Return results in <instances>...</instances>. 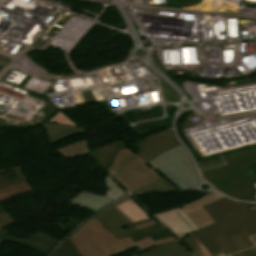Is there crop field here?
Masks as SVG:
<instances>
[{"instance_id": "obj_1", "label": "crop field", "mask_w": 256, "mask_h": 256, "mask_svg": "<svg viewBox=\"0 0 256 256\" xmlns=\"http://www.w3.org/2000/svg\"><path fill=\"white\" fill-rule=\"evenodd\" d=\"M251 205L253 204L234 202L224 197L202 206L216 223L199 229L180 241L196 256H225L237 252L228 237L239 233L253 247L247 237L256 234V209L248 212L244 209Z\"/></svg>"}, {"instance_id": "obj_2", "label": "crop field", "mask_w": 256, "mask_h": 256, "mask_svg": "<svg viewBox=\"0 0 256 256\" xmlns=\"http://www.w3.org/2000/svg\"><path fill=\"white\" fill-rule=\"evenodd\" d=\"M69 238L82 256H113L137 246L141 250L132 255L136 256L153 246L176 239L172 236L153 242L148 237L135 243L129 237L118 240L95 218L81 225Z\"/></svg>"}, {"instance_id": "obj_3", "label": "crop field", "mask_w": 256, "mask_h": 256, "mask_svg": "<svg viewBox=\"0 0 256 256\" xmlns=\"http://www.w3.org/2000/svg\"><path fill=\"white\" fill-rule=\"evenodd\" d=\"M148 164L180 190H189L199 182L195 167L181 145L159 155Z\"/></svg>"}, {"instance_id": "obj_4", "label": "crop field", "mask_w": 256, "mask_h": 256, "mask_svg": "<svg viewBox=\"0 0 256 256\" xmlns=\"http://www.w3.org/2000/svg\"><path fill=\"white\" fill-rule=\"evenodd\" d=\"M113 177L128 191L132 192L162 177V175L140 157L134 155Z\"/></svg>"}, {"instance_id": "obj_5", "label": "crop field", "mask_w": 256, "mask_h": 256, "mask_svg": "<svg viewBox=\"0 0 256 256\" xmlns=\"http://www.w3.org/2000/svg\"><path fill=\"white\" fill-rule=\"evenodd\" d=\"M204 177L218 190L240 200L252 201L249 194L241 183L236 179L226 165L202 171Z\"/></svg>"}, {"instance_id": "obj_6", "label": "crop field", "mask_w": 256, "mask_h": 256, "mask_svg": "<svg viewBox=\"0 0 256 256\" xmlns=\"http://www.w3.org/2000/svg\"><path fill=\"white\" fill-rule=\"evenodd\" d=\"M135 145L139 151L137 155L149 162L162 152L179 145V142L170 130H165L151 135Z\"/></svg>"}, {"instance_id": "obj_7", "label": "crop field", "mask_w": 256, "mask_h": 256, "mask_svg": "<svg viewBox=\"0 0 256 256\" xmlns=\"http://www.w3.org/2000/svg\"><path fill=\"white\" fill-rule=\"evenodd\" d=\"M29 191L20 166L0 170V201Z\"/></svg>"}, {"instance_id": "obj_8", "label": "crop field", "mask_w": 256, "mask_h": 256, "mask_svg": "<svg viewBox=\"0 0 256 256\" xmlns=\"http://www.w3.org/2000/svg\"><path fill=\"white\" fill-rule=\"evenodd\" d=\"M152 216L157 221L165 224L180 239L185 238L188 233L198 229L196 224L181 208H175L152 214Z\"/></svg>"}, {"instance_id": "obj_9", "label": "crop field", "mask_w": 256, "mask_h": 256, "mask_svg": "<svg viewBox=\"0 0 256 256\" xmlns=\"http://www.w3.org/2000/svg\"><path fill=\"white\" fill-rule=\"evenodd\" d=\"M100 221L116 238L130 236L137 231L117 210L112 206L94 216Z\"/></svg>"}, {"instance_id": "obj_10", "label": "crop field", "mask_w": 256, "mask_h": 256, "mask_svg": "<svg viewBox=\"0 0 256 256\" xmlns=\"http://www.w3.org/2000/svg\"><path fill=\"white\" fill-rule=\"evenodd\" d=\"M223 158L226 160L228 168L233 172L248 192L251 193L255 191L256 189L249 182L239 167L256 162V147L223 155Z\"/></svg>"}, {"instance_id": "obj_11", "label": "crop field", "mask_w": 256, "mask_h": 256, "mask_svg": "<svg viewBox=\"0 0 256 256\" xmlns=\"http://www.w3.org/2000/svg\"><path fill=\"white\" fill-rule=\"evenodd\" d=\"M116 208L137 230L157 223L131 197L112 205Z\"/></svg>"}, {"instance_id": "obj_12", "label": "crop field", "mask_w": 256, "mask_h": 256, "mask_svg": "<svg viewBox=\"0 0 256 256\" xmlns=\"http://www.w3.org/2000/svg\"><path fill=\"white\" fill-rule=\"evenodd\" d=\"M219 198H221V196L215 193H210L180 207H182V209L190 216V218L197 224V226L201 228L214 222L201 206Z\"/></svg>"}, {"instance_id": "obj_13", "label": "crop field", "mask_w": 256, "mask_h": 256, "mask_svg": "<svg viewBox=\"0 0 256 256\" xmlns=\"http://www.w3.org/2000/svg\"><path fill=\"white\" fill-rule=\"evenodd\" d=\"M113 201V199L81 191L70 202L95 212Z\"/></svg>"}, {"instance_id": "obj_14", "label": "crop field", "mask_w": 256, "mask_h": 256, "mask_svg": "<svg viewBox=\"0 0 256 256\" xmlns=\"http://www.w3.org/2000/svg\"><path fill=\"white\" fill-rule=\"evenodd\" d=\"M138 256H193L188 249L177 240L154 247Z\"/></svg>"}, {"instance_id": "obj_15", "label": "crop field", "mask_w": 256, "mask_h": 256, "mask_svg": "<svg viewBox=\"0 0 256 256\" xmlns=\"http://www.w3.org/2000/svg\"><path fill=\"white\" fill-rule=\"evenodd\" d=\"M148 236H150L152 240L155 241L168 236H172V234L166 229V227L160 224H155L137 231L132 236H130V238L133 242H135Z\"/></svg>"}, {"instance_id": "obj_16", "label": "crop field", "mask_w": 256, "mask_h": 256, "mask_svg": "<svg viewBox=\"0 0 256 256\" xmlns=\"http://www.w3.org/2000/svg\"><path fill=\"white\" fill-rule=\"evenodd\" d=\"M45 126L49 133L51 144L61 141L73 134L83 133L82 129L72 128V127L63 126V125L48 124Z\"/></svg>"}, {"instance_id": "obj_17", "label": "crop field", "mask_w": 256, "mask_h": 256, "mask_svg": "<svg viewBox=\"0 0 256 256\" xmlns=\"http://www.w3.org/2000/svg\"><path fill=\"white\" fill-rule=\"evenodd\" d=\"M66 159L86 155L88 150V140L82 139L69 145L56 149Z\"/></svg>"}, {"instance_id": "obj_18", "label": "crop field", "mask_w": 256, "mask_h": 256, "mask_svg": "<svg viewBox=\"0 0 256 256\" xmlns=\"http://www.w3.org/2000/svg\"><path fill=\"white\" fill-rule=\"evenodd\" d=\"M11 230H13V229H11L9 227L1 230L0 231V239H2L5 242H13L15 244L21 245V246L26 247L34 252L41 254L43 256H47L48 253L50 252L49 250H47L41 246H38L30 241L8 236V234L10 233Z\"/></svg>"}, {"instance_id": "obj_19", "label": "crop field", "mask_w": 256, "mask_h": 256, "mask_svg": "<svg viewBox=\"0 0 256 256\" xmlns=\"http://www.w3.org/2000/svg\"><path fill=\"white\" fill-rule=\"evenodd\" d=\"M133 155L128 148L119 150L113 158V164L106 170L113 176Z\"/></svg>"}, {"instance_id": "obj_20", "label": "crop field", "mask_w": 256, "mask_h": 256, "mask_svg": "<svg viewBox=\"0 0 256 256\" xmlns=\"http://www.w3.org/2000/svg\"><path fill=\"white\" fill-rule=\"evenodd\" d=\"M27 239L49 249L50 251H52L54 246L59 242V240L41 232V231L35 233L34 235L30 236Z\"/></svg>"}, {"instance_id": "obj_21", "label": "crop field", "mask_w": 256, "mask_h": 256, "mask_svg": "<svg viewBox=\"0 0 256 256\" xmlns=\"http://www.w3.org/2000/svg\"><path fill=\"white\" fill-rule=\"evenodd\" d=\"M106 193L103 196L118 199L127 194L110 176L105 177Z\"/></svg>"}, {"instance_id": "obj_22", "label": "crop field", "mask_w": 256, "mask_h": 256, "mask_svg": "<svg viewBox=\"0 0 256 256\" xmlns=\"http://www.w3.org/2000/svg\"><path fill=\"white\" fill-rule=\"evenodd\" d=\"M144 190H179V189L176 188L173 184H171L167 179L163 177L137 191H144Z\"/></svg>"}, {"instance_id": "obj_23", "label": "crop field", "mask_w": 256, "mask_h": 256, "mask_svg": "<svg viewBox=\"0 0 256 256\" xmlns=\"http://www.w3.org/2000/svg\"><path fill=\"white\" fill-rule=\"evenodd\" d=\"M69 238L57 249L53 256H81Z\"/></svg>"}, {"instance_id": "obj_24", "label": "crop field", "mask_w": 256, "mask_h": 256, "mask_svg": "<svg viewBox=\"0 0 256 256\" xmlns=\"http://www.w3.org/2000/svg\"><path fill=\"white\" fill-rule=\"evenodd\" d=\"M17 223L9 213L4 209L3 206H0V229H3L11 224ZM3 241L0 240V249L3 245Z\"/></svg>"}, {"instance_id": "obj_25", "label": "crop field", "mask_w": 256, "mask_h": 256, "mask_svg": "<svg viewBox=\"0 0 256 256\" xmlns=\"http://www.w3.org/2000/svg\"><path fill=\"white\" fill-rule=\"evenodd\" d=\"M197 163H198L199 167H203V168H201V170H203V169L211 168V167H214V166L222 165L225 162L221 158V156H218V157L198 161Z\"/></svg>"}, {"instance_id": "obj_26", "label": "crop field", "mask_w": 256, "mask_h": 256, "mask_svg": "<svg viewBox=\"0 0 256 256\" xmlns=\"http://www.w3.org/2000/svg\"><path fill=\"white\" fill-rule=\"evenodd\" d=\"M49 122L61 123V124H65V125L78 127L61 110Z\"/></svg>"}, {"instance_id": "obj_27", "label": "crop field", "mask_w": 256, "mask_h": 256, "mask_svg": "<svg viewBox=\"0 0 256 256\" xmlns=\"http://www.w3.org/2000/svg\"><path fill=\"white\" fill-rule=\"evenodd\" d=\"M241 169L252 184L256 183V163L246 165L241 167Z\"/></svg>"}, {"instance_id": "obj_28", "label": "crop field", "mask_w": 256, "mask_h": 256, "mask_svg": "<svg viewBox=\"0 0 256 256\" xmlns=\"http://www.w3.org/2000/svg\"><path fill=\"white\" fill-rule=\"evenodd\" d=\"M230 240L233 242L238 251L250 248L249 244L245 241L241 234L230 237Z\"/></svg>"}, {"instance_id": "obj_29", "label": "crop field", "mask_w": 256, "mask_h": 256, "mask_svg": "<svg viewBox=\"0 0 256 256\" xmlns=\"http://www.w3.org/2000/svg\"><path fill=\"white\" fill-rule=\"evenodd\" d=\"M255 240H256V236H254ZM230 256H256V249L255 248H251Z\"/></svg>"}, {"instance_id": "obj_30", "label": "crop field", "mask_w": 256, "mask_h": 256, "mask_svg": "<svg viewBox=\"0 0 256 256\" xmlns=\"http://www.w3.org/2000/svg\"><path fill=\"white\" fill-rule=\"evenodd\" d=\"M251 240L254 242V244H256V241L254 240V238L253 237H251ZM256 248V247H255Z\"/></svg>"}]
</instances>
